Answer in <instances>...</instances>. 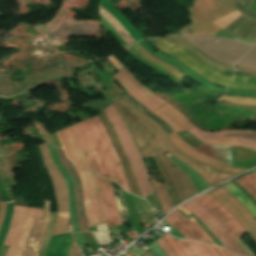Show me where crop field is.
<instances>
[{"instance_id": "e1f06a70", "label": "crop field", "mask_w": 256, "mask_h": 256, "mask_svg": "<svg viewBox=\"0 0 256 256\" xmlns=\"http://www.w3.org/2000/svg\"><path fill=\"white\" fill-rule=\"evenodd\" d=\"M40 221H41V219H38V218L34 219L32 229H31V233H30L28 242L26 244V247H25V250H24L22 256H29L30 255L35 236H36V234L38 232V229H39Z\"/></svg>"}, {"instance_id": "bd1437ed", "label": "crop field", "mask_w": 256, "mask_h": 256, "mask_svg": "<svg viewBox=\"0 0 256 256\" xmlns=\"http://www.w3.org/2000/svg\"><path fill=\"white\" fill-rule=\"evenodd\" d=\"M49 217H50V204H49V201H44L43 221H42L41 229L36 238L34 249H33L31 256H37V253L39 251V248L41 246V243H42V240H43L46 228H47Z\"/></svg>"}, {"instance_id": "ac0d7876", "label": "crop field", "mask_w": 256, "mask_h": 256, "mask_svg": "<svg viewBox=\"0 0 256 256\" xmlns=\"http://www.w3.org/2000/svg\"><path fill=\"white\" fill-rule=\"evenodd\" d=\"M72 127L93 172L118 182L130 192L122 165L99 118L96 116Z\"/></svg>"}, {"instance_id": "5a996713", "label": "crop field", "mask_w": 256, "mask_h": 256, "mask_svg": "<svg viewBox=\"0 0 256 256\" xmlns=\"http://www.w3.org/2000/svg\"><path fill=\"white\" fill-rule=\"evenodd\" d=\"M72 162V161H71ZM82 184L85 211L89 226L106 222L102 214L92 172L72 162Z\"/></svg>"}, {"instance_id": "5d738f31", "label": "crop field", "mask_w": 256, "mask_h": 256, "mask_svg": "<svg viewBox=\"0 0 256 256\" xmlns=\"http://www.w3.org/2000/svg\"><path fill=\"white\" fill-rule=\"evenodd\" d=\"M68 256H81L78 248L76 247L75 243L73 242L72 247L70 249V252Z\"/></svg>"}, {"instance_id": "dafd665d", "label": "crop field", "mask_w": 256, "mask_h": 256, "mask_svg": "<svg viewBox=\"0 0 256 256\" xmlns=\"http://www.w3.org/2000/svg\"><path fill=\"white\" fill-rule=\"evenodd\" d=\"M171 40L174 41L177 45L188 50L190 53H192L194 56H196L198 59H200L202 62L208 64L209 66H211L223 73L232 74L233 67L222 64V63L214 60L213 58H211L210 56L205 54L203 51H201L200 49H198L197 47H195L194 45L189 43L184 38H182V37L171 38Z\"/></svg>"}, {"instance_id": "8a807250", "label": "crop field", "mask_w": 256, "mask_h": 256, "mask_svg": "<svg viewBox=\"0 0 256 256\" xmlns=\"http://www.w3.org/2000/svg\"><path fill=\"white\" fill-rule=\"evenodd\" d=\"M113 104L121 112L144 159L155 156L167 150L179 160L189 164L210 185L234 175L208 168L180 153L168 140L165 132L158 124L140 112L126 100L122 99L113 102Z\"/></svg>"}, {"instance_id": "d3111659", "label": "crop field", "mask_w": 256, "mask_h": 256, "mask_svg": "<svg viewBox=\"0 0 256 256\" xmlns=\"http://www.w3.org/2000/svg\"><path fill=\"white\" fill-rule=\"evenodd\" d=\"M100 15L114 28L121 38L130 46L136 42L124 27L101 6L99 8Z\"/></svg>"}, {"instance_id": "cbeb9de0", "label": "crop field", "mask_w": 256, "mask_h": 256, "mask_svg": "<svg viewBox=\"0 0 256 256\" xmlns=\"http://www.w3.org/2000/svg\"><path fill=\"white\" fill-rule=\"evenodd\" d=\"M195 199L199 201L203 206H205L222 223V225L235 238L237 242L241 241L245 232L230 213L221 207L208 194L201 195Z\"/></svg>"}, {"instance_id": "73cf0c24", "label": "crop field", "mask_w": 256, "mask_h": 256, "mask_svg": "<svg viewBox=\"0 0 256 256\" xmlns=\"http://www.w3.org/2000/svg\"><path fill=\"white\" fill-rule=\"evenodd\" d=\"M181 210H183L186 214L190 215V211H188L186 208H184L183 206L180 207Z\"/></svg>"}, {"instance_id": "34b2d1b8", "label": "crop field", "mask_w": 256, "mask_h": 256, "mask_svg": "<svg viewBox=\"0 0 256 256\" xmlns=\"http://www.w3.org/2000/svg\"><path fill=\"white\" fill-rule=\"evenodd\" d=\"M188 11L192 24L181 29L185 36H215L222 29L212 21L237 10L225 0H194Z\"/></svg>"}, {"instance_id": "412701ff", "label": "crop field", "mask_w": 256, "mask_h": 256, "mask_svg": "<svg viewBox=\"0 0 256 256\" xmlns=\"http://www.w3.org/2000/svg\"><path fill=\"white\" fill-rule=\"evenodd\" d=\"M154 47L162 50L170 57L178 60L208 82L227 87L230 75L223 74L202 63L183 48L169 39H147Z\"/></svg>"}, {"instance_id": "0bd39190", "label": "crop field", "mask_w": 256, "mask_h": 256, "mask_svg": "<svg viewBox=\"0 0 256 256\" xmlns=\"http://www.w3.org/2000/svg\"><path fill=\"white\" fill-rule=\"evenodd\" d=\"M221 101H228L236 104L256 106V99H252V98H240V97H231V96L224 95Z\"/></svg>"}, {"instance_id": "d32e631a", "label": "crop field", "mask_w": 256, "mask_h": 256, "mask_svg": "<svg viewBox=\"0 0 256 256\" xmlns=\"http://www.w3.org/2000/svg\"><path fill=\"white\" fill-rule=\"evenodd\" d=\"M251 196L256 200V173L249 174L243 178L236 180Z\"/></svg>"}, {"instance_id": "22f410ed", "label": "crop field", "mask_w": 256, "mask_h": 256, "mask_svg": "<svg viewBox=\"0 0 256 256\" xmlns=\"http://www.w3.org/2000/svg\"><path fill=\"white\" fill-rule=\"evenodd\" d=\"M100 205L109 227L122 224L117 212L111 182L94 174Z\"/></svg>"}, {"instance_id": "4a817a6b", "label": "crop field", "mask_w": 256, "mask_h": 256, "mask_svg": "<svg viewBox=\"0 0 256 256\" xmlns=\"http://www.w3.org/2000/svg\"><path fill=\"white\" fill-rule=\"evenodd\" d=\"M168 138L172 141L174 146H176L180 151L184 152L185 154L193 157L195 160L214 167L219 170L228 171L231 173H238L243 171L244 169L231 167L227 165H223L213 159L208 158L207 156L195 151L194 149L190 148L185 142H183L176 133H172L168 135Z\"/></svg>"}, {"instance_id": "28ad6ade", "label": "crop field", "mask_w": 256, "mask_h": 256, "mask_svg": "<svg viewBox=\"0 0 256 256\" xmlns=\"http://www.w3.org/2000/svg\"><path fill=\"white\" fill-rule=\"evenodd\" d=\"M126 92H128L136 101L151 111L159 109L168 103L148 91L135 77H133L123 66L121 70L113 76Z\"/></svg>"}, {"instance_id": "3316defc", "label": "crop field", "mask_w": 256, "mask_h": 256, "mask_svg": "<svg viewBox=\"0 0 256 256\" xmlns=\"http://www.w3.org/2000/svg\"><path fill=\"white\" fill-rule=\"evenodd\" d=\"M209 195L223 205L256 242V219L250 212L224 187L209 193Z\"/></svg>"}, {"instance_id": "d1516ede", "label": "crop field", "mask_w": 256, "mask_h": 256, "mask_svg": "<svg viewBox=\"0 0 256 256\" xmlns=\"http://www.w3.org/2000/svg\"><path fill=\"white\" fill-rule=\"evenodd\" d=\"M196 215L220 240L224 247L233 249L248 255L245 250L235 242L226 229L220 224V222L212 216L202 205H200L195 199L183 205Z\"/></svg>"}, {"instance_id": "d8731c3e", "label": "crop field", "mask_w": 256, "mask_h": 256, "mask_svg": "<svg viewBox=\"0 0 256 256\" xmlns=\"http://www.w3.org/2000/svg\"><path fill=\"white\" fill-rule=\"evenodd\" d=\"M187 131L207 144L244 146L256 151V131H226L209 133L201 131L196 127Z\"/></svg>"}, {"instance_id": "425ffa30", "label": "crop field", "mask_w": 256, "mask_h": 256, "mask_svg": "<svg viewBox=\"0 0 256 256\" xmlns=\"http://www.w3.org/2000/svg\"><path fill=\"white\" fill-rule=\"evenodd\" d=\"M227 1L233 3V2H235V1H237V0H227ZM239 1H240L246 8H248L249 5H250V0H239Z\"/></svg>"}, {"instance_id": "bc2a9ffb", "label": "crop field", "mask_w": 256, "mask_h": 256, "mask_svg": "<svg viewBox=\"0 0 256 256\" xmlns=\"http://www.w3.org/2000/svg\"><path fill=\"white\" fill-rule=\"evenodd\" d=\"M154 113L161 119H163L175 131L186 130L194 126L179 110H177L169 103L164 105Z\"/></svg>"}, {"instance_id": "03da06ac", "label": "crop field", "mask_w": 256, "mask_h": 256, "mask_svg": "<svg viewBox=\"0 0 256 256\" xmlns=\"http://www.w3.org/2000/svg\"><path fill=\"white\" fill-rule=\"evenodd\" d=\"M213 246V245H212ZM217 253L221 256H232L231 253L227 249H223L221 247L213 246Z\"/></svg>"}, {"instance_id": "730fd06b", "label": "crop field", "mask_w": 256, "mask_h": 256, "mask_svg": "<svg viewBox=\"0 0 256 256\" xmlns=\"http://www.w3.org/2000/svg\"><path fill=\"white\" fill-rule=\"evenodd\" d=\"M42 210L43 209L28 208L27 221H26L20 242H19L17 248L10 247L6 256H21L24 246L26 244V241L28 239L29 233H30L33 218L34 217L41 218Z\"/></svg>"}, {"instance_id": "733c2abd", "label": "crop field", "mask_w": 256, "mask_h": 256, "mask_svg": "<svg viewBox=\"0 0 256 256\" xmlns=\"http://www.w3.org/2000/svg\"><path fill=\"white\" fill-rule=\"evenodd\" d=\"M56 150L59 154V158H60L61 163L67 169V171L72 176V179L74 180L75 193H76L77 215H78V220H79L81 231L82 232L83 231H90L88 223H87V219H86V216H85V211H84L81 184H80L78 176L74 177V176L77 175V173H76L73 165L71 164V162L66 157L63 149H56Z\"/></svg>"}, {"instance_id": "120bbe31", "label": "crop field", "mask_w": 256, "mask_h": 256, "mask_svg": "<svg viewBox=\"0 0 256 256\" xmlns=\"http://www.w3.org/2000/svg\"><path fill=\"white\" fill-rule=\"evenodd\" d=\"M153 182V181H152ZM156 194L158 196L159 202L163 209L164 214L168 212L173 206L167 196L166 187L164 185L153 182Z\"/></svg>"}, {"instance_id": "89e229c0", "label": "crop field", "mask_w": 256, "mask_h": 256, "mask_svg": "<svg viewBox=\"0 0 256 256\" xmlns=\"http://www.w3.org/2000/svg\"><path fill=\"white\" fill-rule=\"evenodd\" d=\"M230 252L232 253V255H233V256H244V255H241V254H238V253L232 252V251H230Z\"/></svg>"}, {"instance_id": "4177f3b9", "label": "crop field", "mask_w": 256, "mask_h": 256, "mask_svg": "<svg viewBox=\"0 0 256 256\" xmlns=\"http://www.w3.org/2000/svg\"><path fill=\"white\" fill-rule=\"evenodd\" d=\"M175 241L186 256H220L209 244L176 239Z\"/></svg>"}, {"instance_id": "f4fd0767", "label": "crop field", "mask_w": 256, "mask_h": 256, "mask_svg": "<svg viewBox=\"0 0 256 256\" xmlns=\"http://www.w3.org/2000/svg\"><path fill=\"white\" fill-rule=\"evenodd\" d=\"M104 113L109 118L117 136L119 137L122 146L131 162L138 187L142 196L153 191L150 181L148 179L146 170L144 168L142 159L128 133L126 126L124 125L120 115L116 112L112 105L103 109Z\"/></svg>"}, {"instance_id": "c035e120", "label": "crop field", "mask_w": 256, "mask_h": 256, "mask_svg": "<svg viewBox=\"0 0 256 256\" xmlns=\"http://www.w3.org/2000/svg\"><path fill=\"white\" fill-rule=\"evenodd\" d=\"M164 237L168 241V243L170 244V246L173 248V250L176 252V254L178 256H185L184 253L180 250V248L178 247V245L176 244V242L174 241V239L172 237H170L167 234Z\"/></svg>"}, {"instance_id": "214f88e0", "label": "crop field", "mask_w": 256, "mask_h": 256, "mask_svg": "<svg viewBox=\"0 0 256 256\" xmlns=\"http://www.w3.org/2000/svg\"><path fill=\"white\" fill-rule=\"evenodd\" d=\"M60 140L69 156L70 159L90 168L88 162L86 161L84 155L82 154L80 147L78 145L76 136L71 127H68L65 130L57 132ZM85 167V168H86Z\"/></svg>"}, {"instance_id": "750c4746", "label": "crop field", "mask_w": 256, "mask_h": 256, "mask_svg": "<svg viewBox=\"0 0 256 256\" xmlns=\"http://www.w3.org/2000/svg\"><path fill=\"white\" fill-rule=\"evenodd\" d=\"M229 87L256 91V77L234 75Z\"/></svg>"}, {"instance_id": "ae1a2a85", "label": "crop field", "mask_w": 256, "mask_h": 256, "mask_svg": "<svg viewBox=\"0 0 256 256\" xmlns=\"http://www.w3.org/2000/svg\"><path fill=\"white\" fill-rule=\"evenodd\" d=\"M100 5L103 6L109 13H111L126 28V30L132 35V37L136 41L143 39L137 33L131 23L126 19V17L117 9H115L111 4H109L106 0H100Z\"/></svg>"}, {"instance_id": "00972430", "label": "crop field", "mask_w": 256, "mask_h": 256, "mask_svg": "<svg viewBox=\"0 0 256 256\" xmlns=\"http://www.w3.org/2000/svg\"><path fill=\"white\" fill-rule=\"evenodd\" d=\"M165 220L175 226L185 239L207 241L199 230L178 212H173Z\"/></svg>"}, {"instance_id": "92a150f3", "label": "crop field", "mask_w": 256, "mask_h": 256, "mask_svg": "<svg viewBox=\"0 0 256 256\" xmlns=\"http://www.w3.org/2000/svg\"><path fill=\"white\" fill-rule=\"evenodd\" d=\"M27 208L14 206L13 217L5 242L6 246H17L26 221Z\"/></svg>"}, {"instance_id": "b80d0937", "label": "crop field", "mask_w": 256, "mask_h": 256, "mask_svg": "<svg viewBox=\"0 0 256 256\" xmlns=\"http://www.w3.org/2000/svg\"><path fill=\"white\" fill-rule=\"evenodd\" d=\"M157 243L164 250L167 256H177L172 250V248L169 246L167 241L164 239V237L161 240H159Z\"/></svg>"}, {"instance_id": "25e5ab78", "label": "crop field", "mask_w": 256, "mask_h": 256, "mask_svg": "<svg viewBox=\"0 0 256 256\" xmlns=\"http://www.w3.org/2000/svg\"><path fill=\"white\" fill-rule=\"evenodd\" d=\"M193 223L196 225V227L201 231V233L206 237V239L209 241V242H211V243H213L212 242V240L207 236V234L203 231V229H201L194 221H193Z\"/></svg>"}, {"instance_id": "dd49c442", "label": "crop field", "mask_w": 256, "mask_h": 256, "mask_svg": "<svg viewBox=\"0 0 256 256\" xmlns=\"http://www.w3.org/2000/svg\"><path fill=\"white\" fill-rule=\"evenodd\" d=\"M184 38L214 59L233 67L248 52L251 46L245 43L218 38Z\"/></svg>"}, {"instance_id": "d23c7cc5", "label": "crop field", "mask_w": 256, "mask_h": 256, "mask_svg": "<svg viewBox=\"0 0 256 256\" xmlns=\"http://www.w3.org/2000/svg\"><path fill=\"white\" fill-rule=\"evenodd\" d=\"M238 74H247V75H253V76H256V71L240 68V69H239V73H238Z\"/></svg>"}, {"instance_id": "eef30255", "label": "crop field", "mask_w": 256, "mask_h": 256, "mask_svg": "<svg viewBox=\"0 0 256 256\" xmlns=\"http://www.w3.org/2000/svg\"><path fill=\"white\" fill-rule=\"evenodd\" d=\"M132 48V50L134 52H136L138 55H140L142 58H144L145 60L151 62L152 64H154L155 66L171 73L172 75H174L175 77H177L178 79H182L185 77L184 74H182L180 71H178L176 68L172 67L171 65L160 61L156 58H154L151 54H149L141 45H139L138 43L130 46Z\"/></svg>"}, {"instance_id": "e52e79f7", "label": "crop field", "mask_w": 256, "mask_h": 256, "mask_svg": "<svg viewBox=\"0 0 256 256\" xmlns=\"http://www.w3.org/2000/svg\"><path fill=\"white\" fill-rule=\"evenodd\" d=\"M39 147L42 152L44 161L47 165L49 174L53 180V184H54V188H55V192L58 200V217H57V222L55 225L53 235L66 233L67 223L69 218L66 182L63 179V177L59 174V172L56 170L46 144L44 143Z\"/></svg>"}, {"instance_id": "1d83c4d3", "label": "crop field", "mask_w": 256, "mask_h": 256, "mask_svg": "<svg viewBox=\"0 0 256 256\" xmlns=\"http://www.w3.org/2000/svg\"><path fill=\"white\" fill-rule=\"evenodd\" d=\"M224 187L229 190L256 217V207L239 189H237L231 183Z\"/></svg>"}, {"instance_id": "5866460e", "label": "crop field", "mask_w": 256, "mask_h": 256, "mask_svg": "<svg viewBox=\"0 0 256 256\" xmlns=\"http://www.w3.org/2000/svg\"><path fill=\"white\" fill-rule=\"evenodd\" d=\"M237 66L256 70V46H252L251 51L239 61Z\"/></svg>"}, {"instance_id": "dbb93151", "label": "crop field", "mask_w": 256, "mask_h": 256, "mask_svg": "<svg viewBox=\"0 0 256 256\" xmlns=\"http://www.w3.org/2000/svg\"><path fill=\"white\" fill-rule=\"evenodd\" d=\"M174 36H179L178 34H174V35H168L167 37H174Z\"/></svg>"}, {"instance_id": "028f5c9d", "label": "crop field", "mask_w": 256, "mask_h": 256, "mask_svg": "<svg viewBox=\"0 0 256 256\" xmlns=\"http://www.w3.org/2000/svg\"><path fill=\"white\" fill-rule=\"evenodd\" d=\"M12 211H13V202H7V210H6V216L3 221L2 227L0 229V249L2 247V244L4 242L7 229L10 224L11 216H12Z\"/></svg>"}, {"instance_id": "c21b1889", "label": "crop field", "mask_w": 256, "mask_h": 256, "mask_svg": "<svg viewBox=\"0 0 256 256\" xmlns=\"http://www.w3.org/2000/svg\"><path fill=\"white\" fill-rule=\"evenodd\" d=\"M165 158H167L163 153H161ZM168 159V158H167ZM169 160V159H168ZM170 161V160H169ZM171 162V161H170ZM172 163V162H171ZM172 165L187 179V181H188V183H189V185H190V187H191V189H192V191H193V193H195V192H197L196 191V189H195V187L193 186V184L191 183V181L189 180V178L186 176V174L182 171V170H180L175 164H173L172 163Z\"/></svg>"}, {"instance_id": "d9b57169", "label": "crop field", "mask_w": 256, "mask_h": 256, "mask_svg": "<svg viewBox=\"0 0 256 256\" xmlns=\"http://www.w3.org/2000/svg\"><path fill=\"white\" fill-rule=\"evenodd\" d=\"M122 164H123V167H124V171H125V175H126V179L128 181V184H129V187L131 189V192L135 195H138L141 197L140 195V192H139V189L137 187V184H136V181H135V177H134V174H133V170L131 168V165H130V162L108 120V118L105 116L104 113L98 115Z\"/></svg>"}, {"instance_id": "1f2cbd36", "label": "crop field", "mask_w": 256, "mask_h": 256, "mask_svg": "<svg viewBox=\"0 0 256 256\" xmlns=\"http://www.w3.org/2000/svg\"><path fill=\"white\" fill-rule=\"evenodd\" d=\"M141 256H150L146 251L142 253Z\"/></svg>"}, {"instance_id": "b54c1fbb", "label": "crop field", "mask_w": 256, "mask_h": 256, "mask_svg": "<svg viewBox=\"0 0 256 256\" xmlns=\"http://www.w3.org/2000/svg\"><path fill=\"white\" fill-rule=\"evenodd\" d=\"M6 202H0V226L5 216Z\"/></svg>"}, {"instance_id": "a9b5d70f", "label": "crop field", "mask_w": 256, "mask_h": 256, "mask_svg": "<svg viewBox=\"0 0 256 256\" xmlns=\"http://www.w3.org/2000/svg\"><path fill=\"white\" fill-rule=\"evenodd\" d=\"M157 158L169 172L182 201L194 195L186 179L161 154Z\"/></svg>"}, {"instance_id": "5142ce71", "label": "crop field", "mask_w": 256, "mask_h": 256, "mask_svg": "<svg viewBox=\"0 0 256 256\" xmlns=\"http://www.w3.org/2000/svg\"><path fill=\"white\" fill-rule=\"evenodd\" d=\"M177 134L189 144L194 149L200 151L201 153L210 156L220 162H224L232 165L233 150L234 147H221V146H211L199 142L187 131L177 132Z\"/></svg>"}]
</instances>
